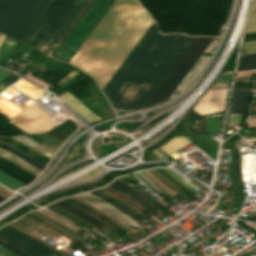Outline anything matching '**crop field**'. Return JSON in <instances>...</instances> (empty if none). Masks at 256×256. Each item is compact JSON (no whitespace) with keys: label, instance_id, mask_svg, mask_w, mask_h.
Listing matches in <instances>:
<instances>
[{"label":"crop field","instance_id":"crop-field-1","mask_svg":"<svg viewBox=\"0 0 256 256\" xmlns=\"http://www.w3.org/2000/svg\"><path fill=\"white\" fill-rule=\"evenodd\" d=\"M194 38L161 35L153 21L103 92L116 108L131 110L144 106Z\"/></svg>","mask_w":256,"mask_h":256},{"label":"crop field","instance_id":"crop-field-2","mask_svg":"<svg viewBox=\"0 0 256 256\" xmlns=\"http://www.w3.org/2000/svg\"><path fill=\"white\" fill-rule=\"evenodd\" d=\"M140 7L135 0H115L70 63L91 74Z\"/></svg>","mask_w":256,"mask_h":256},{"label":"crop field","instance_id":"crop-field-3","mask_svg":"<svg viewBox=\"0 0 256 256\" xmlns=\"http://www.w3.org/2000/svg\"><path fill=\"white\" fill-rule=\"evenodd\" d=\"M88 2L52 0L22 42L49 55Z\"/></svg>","mask_w":256,"mask_h":256},{"label":"crop field","instance_id":"crop-field-4","mask_svg":"<svg viewBox=\"0 0 256 256\" xmlns=\"http://www.w3.org/2000/svg\"><path fill=\"white\" fill-rule=\"evenodd\" d=\"M153 20L141 9L91 74L101 89Z\"/></svg>","mask_w":256,"mask_h":256},{"label":"crop field","instance_id":"crop-field-5","mask_svg":"<svg viewBox=\"0 0 256 256\" xmlns=\"http://www.w3.org/2000/svg\"><path fill=\"white\" fill-rule=\"evenodd\" d=\"M51 0H0V31L21 41Z\"/></svg>","mask_w":256,"mask_h":256},{"label":"crop field","instance_id":"crop-field-6","mask_svg":"<svg viewBox=\"0 0 256 256\" xmlns=\"http://www.w3.org/2000/svg\"><path fill=\"white\" fill-rule=\"evenodd\" d=\"M212 39L213 37H196L146 105L169 98Z\"/></svg>","mask_w":256,"mask_h":256},{"label":"crop field","instance_id":"crop-field-7","mask_svg":"<svg viewBox=\"0 0 256 256\" xmlns=\"http://www.w3.org/2000/svg\"><path fill=\"white\" fill-rule=\"evenodd\" d=\"M114 0H95L54 57L69 62Z\"/></svg>","mask_w":256,"mask_h":256},{"label":"crop field","instance_id":"crop-field-8","mask_svg":"<svg viewBox=\"0 0 256 256\" xmlns=\"http://www.w3.org/2000/svg\"><path fill=\"white\" fill-rule=\"evenodd\" d=\"M0 242L20 256H49L54 253L45 244L8 225L0 229Z\"/></svg>","mask_w":256,"mask_h":256},{"label":"crop field","instance_id":"crop-field-9","mask_svg":"<svg viewBox=\"0 0 256 256\" xmlns=\"http://www.w3.org/2000/svg\"><path fill=\"white\" fill-rule=\"evenodd\" d=\"M9 122L28 134L43 133L56 125L50 116L34 104Z\"/></svg>","mask_w":256,"mask_h":256},{"label":"crop field","instance_id":"crop-field-10","mask_svg":"<svg viewBox=\"0 0 256 256\" xmlns=\"http://www.w3.org/2000/svg\"><path fill=\"white\" fill-rule=\"evenodd\" d=\"M227 89L208 90L192 110L204 115L224 110Z\"/></svg>","mask_w":256,"mask_h":256},{"label":"crop field","instance_id":"crop-field-11","mask_svg":"<svg viewBox=\"0 0 256 256\" xmlns=\"http://www.w3.org/2000/svg\"><path fill=\"white\" fill-rule=\"evenodd\" d=\"M76 198L96 207L97 209L101 210L102 212L106 213L107 215L117 219L119 222H121L123 225L127 226L125 223L129 225H133L137 223L135 220L131 219L127 215L121 213L119 210H117L115 207L107 204L106 202L101 201L97 197L93 196L91 193L87 192L78 196H75ZM116 220V221H117ZM134 226V225H133ZM135 226H138L135 224ZM129 229H131L129 226H127ZM140 227V226H138ZM133 230V229H131Z\"/></svg>","mask_w":256,"mask_h":256},{"label":"crop field","instance_id":"crop-field-12","mask_svg":"<svg viewBox=\"0 0 256 256\" xmlns=\"http://www.w3.org/2000/svg\"><path fill=\"white\" fill-rule=\"evenodd\" d=\"M111 188H113L115 191H117L118 193L122 194L123 196L131 199L132 201H134L135 203H137L138 205L142 206L143 208H145L146 210H148L150 213L153 214V216H155L157 219H159L160 221H163L161 218H159L156 214L157 211L155 208L151 207V203L149 200H147L145 197H143L142 195H140L139 193H137L136 191H134L133 189H131L130 187H128L127 185L123 184L122 182H120L119 180H115L111 185H109ZM108 186V187H109Z\"/></svg>","mask_w":256,"mask_h":256},{"label":"crop field","instance_id":"crop-field-13","mask_svg":"<svg viewBox=\"0 0 256 256\" xmlns=\"http://www.w3.org/2000/svg\"><path fill=\"white\" fill-rule=\"evenodd\" d=\"M248 95H249V88L234 90L231 113L243 111L244 105L248 99ZM241 115H242V112L230 114L228 126L238 125Z\"/></svg>","mask_w":256,"mask_h":256},{"label":"crop field","instance_id":"crop-field-14","mask_svg":"<svg viewBox=\"0 0 256 256\" xmlns=\"http://www.w3.org/2000/svg\"><path fill=\"white\" fill-rule=\"evenodd\" d=\"M0 170L25 183L26 185L34 178H36V176L30 174L29 172L23 170L22 168L14 165L2 157H0Z\"/></svg>","mask_w":256,"mask_h":256},{"label":"crop field","instance_id":"crop-field-15","mask_svg":"<svg viewBox=\"0 0 256 256\" xmlns=\"http://www.w3.org/2000/svg\"><path fill=\"white\" fill-rule=\"evenodd\" d=\"M185 137L214 160L217 144L214 143L210 138L205 135H193Z\"/></svg>","mask_w":256,"mask_h":256},{"label":"crop field","instance_id":"crop-field-16","mask_svg":"<svg viewBox=\"0 0 256 256\" xmlns=\"http://www.w3.org/2000/svg\"><path fill=\"white\" fill-rule=\"evenodd\" d=\"M67 104L77 112L83 119L88 122H92L97 119H101L95 116L91 111H89L81 102H79L75 97L67 101Z\"/></svg>","mask_w":256,"mask_h":256},{"label":"crop field","instance_id":"crop-field-17","mask_svg":"<svg viewBox=\"0 0 256 256\" xmlns=\"http://www.w3.org/2000/svg\"><path fill=\"white\" fill-rule=\"evenodd\" d=\"M0 156L6 158L7 160L15 163L16 165L22 167L23 169L29 171L30 173H32L36 176L41 172L37 168L31 166L30 164L26 163L25 161L19 159L18 157L10 154L9 152H7L1 148H0Z\"/></svg>","mask_w":256,"mask_h":256},{"label":"crop field","instance_id":"crop-field-18","mask_svg":"<svg viewBox=\"0 0 256 256\" xmlns=\"http://www.w3.org/2000/svg\"><path fill=\"white\" fill-rule=\"evenodd\" d=\"M189 143L191 142L187 140L184 136L174 137L168 143L159 147V149H161L164 153L168 155Z\"/></svg>","mask_w":256,"mask_h":256},{"label":"crop field","instance_id":"crop-field-19","mask_svg":"<svg viewBox=\"0 0 256 256\" xmlns=\"http://www.w3.org/2000/svg\"><path fill=\"white\" fill-rule=\"evenodd\" d=\"M64 202L62 200H60V201L56 202L55 204H57V205L65 208V209L73 212L78 217H80V218H82V219H84V220H86V221H88V222H90V223H92V224H94L96 226L99 225V226L103 227L100 221H98L95 218H93L92 216H90V215H88V214H86V213H84V212H82V211H80V210H78V209H76V208L66 204L67 202L66 203H64Z\"/></svg>","mask_w":256,"mask_h":256},{"label":"crop field","instance_id":"crop-field-20","mask_svg":"<svg viewBox=\"0 0 256 256\" xmlns=\"http://www.w3.org/2000/svg\"><path fill=\"white\" fill-rule=\"evenodd\" d=\"M253 69H256V54L240 57L237 71Z\"/></svg>","mask_w":256,"mask_h":256},{"label":"crop field","instance_id":"crop-field-21","mask_svg":"<svg viewBox=\"0 0 256 256\" xmlns=\"http://www.w3.org/2000/svg\"><path fill=\"white\" fill-rule=\"evenodd\" d=\"M92 194H94L95 196L103 199L104 201L112 204L113 206H115L116 208L120 209L121 211H123L124 213H126L127 215H129L131 218L135 219V220H140L141 222L143 221L142 219H140L138 216H136L134 213H132L131 211H129L128 209H126L124 206H122L121 204L117 203L116 201L112 200L111 198L103 195L102 193L94 190L91 192Z\"/></svg>","mask_w":256,"mask_h":256},{"label":"crop field","instance_id":"crop-field-22","mask_svg":"<svg viewBox=\"0 0 256 256\" xmlns=\"http://www.w3.org/2000/svg\"><path fill=\"white\" fill-rule=\"evenodd\" d=\"M37 212H39V213H41V214H43V215H45V216H47V217L57 221V222L65 225L66 227L72 229L75 232L78 231L79 229H81L78 226H76L75 224H73L72 222H70V221H68V220H66V219H64V218H62V217H60V216H58V215L48 211V210L41 209V210H39Z\"/></svg>","mask_w":256,"mask_h":256},{"label":"crop field","instance_id":"crop-field-23","mask_svg":"<svg viewBox=\"0 0 256 256\" xmlns=\"http://www.w3.org/2000/svg\"><path fill=\"white\" fill-rule=\"evenodd\" d=\"M16 40L6 36L2 44L0 45V65L4 62L5 58L13 48Z\"/></svg>","mask_w":256,"mask_h":256},{"label":"crop field","instance_id":"crop-field-24","mask_svg":"<svg viewBox=\"0 0 256 256\" xmlns=\"http://www.w3.org/2000/svg\"><path fill=\"white\" fill-rule=\"evenodd\" d=\"M0 146H1L2 148L6 149L7 151L13 153L14 155L20 157L21 159H23V160H25V161L31 163L32 165H34V166H36V167H38V168H40V169H42V170H43L44 167H45V166L39 164L38 162L32 160L31 158L25 156L24 154L18 152L17 150L11 148L10 146H8V145H6V144H4V143H2V142H0Z\"/></svg>","mask_w":256,"mask_h":256},{"label":"crop field","instance_id":"crop-field-25","mask_svg":"<svg viewBox=\"0 0 256 256\" xmlns=\"http://www.w3.org/2000/svg\"><path fill=\"white\" fill-rule=\"evenodd\" d=\"M0 184L4 185L12 190L16 189L19 186L24 185L1 171H0Z\"/></svg>","mask_w":256,"mask_h":256},{"label":"crop field","instance_id":"crop-field-26","mask_svg":"<svg viewBox=\"0 0 256 256\" xmlns=\"http://www.w3.org/2000/svg\"><path fill=\"white\" fill-rule=\"evenodd\" d=\"M256 32V1L253 2L245 33Z\"/></svg>","mask_w":256,"mask_h":256},{"label":"crop field","instance_id":"crop-field-27","mask_svg":"<svg viewBox=\"0 0 256 256\" xmlns=\"http://www.w3.org/2000/svg\"><path fill=\"white\" fill-rule=\"evenodd\" d=\"M256 53V41L243 42L240 55Z\"/></svg>","mask_w":256,"mask_h":256},{"label":"crop field","instance_id":"crop-field-28","mask_svg":"<svg viewBox=\"0 0 256 256\" xmlns=\"http://www.w3.org/2000/svg\"><path fill=\"white\" fill-rule=\"evenodd\" d=\"M17 79H19V78L12 74L5 77L3 80L0 81V91L5 89L6 87H8L10 84L15 82Z\"/></svg>","mask_w":256,"mask_h":256},{"label":"crop field","instance_id":"crop-field-29","mask_svg":"<svg viewBox=\"0 0 256 256\" xmlns=\"http://www.w3.org/2000/svg\"><path fill=\"white\" fill-rule=\"evenodd\" d=\"M165 172H167L169 175H171L173 178L178 180L180 183H182L184 186H186L189 190H191L193 193L196 191L194 188H192L190 185H188L186 182H184L182 179H180L178 176H176L174 173H172L167 168H162Z\"/></svg>","mask_w":256,"mask_h":256},{"label":"crop field","instance_id":"crop-field-30","mask_svg":"<svg viewBox=\"0 0 256 256\" xmlns=\"http://www.w3.org/2000/svg\"><path fill=\"white\" fill-rule=\"evenodd\" d=\"M247 40H256V33L244 34L243 41H247Z\"/></svg>","mask_w":256,"mask_h":256},{"label":"crop field","instance_id":"crop-field-31","mask_svg":"<svg viewBox=\"0 0 256 256\" xmlns=\"http://www.w3.org/2000/svg\"><path fill=\"white\" fill-rule=\"evenodd\" d=\"M242 81H236L235 85H234V89H238V88H246L248 87L247 84H241Z\"/></svg>","mask_w":256,"mask_h":256},{"label":"crop field","instance_id":"crop-field-32","mask_svg":"<svg viewBox=\"0 0 256 256\" xmlns=\"http://www.w3.org/2000/svg\"><path fill=\"white\" fill-rule=\"evenodd\" d=\"M59 97L64 101V100H66V99H68V98H70V97H72V96L69 94L68 91H66V92H64L63 94H61ZM68 100H69V99H68ZM66 101H67V100H66ZM64 102H65V101H64Z\"/></svg>","mask_w":256,"mask_h":256},{"label":"crop field","instance_id":"crop-field-33","mask_svg":"<svg viewBox=\"0 0 256 256\" xmlns=\"http://www.w3.org/2000/svg\"><path fill=\"white\" fill-rule=\"evenodd\" d=\"M0 192L6 194V195H8V196L12 195V192H10V191H8V190L2 188V187H0Z\"/></svg>","mask_w":256,"mask_h":256},{"label":"crop field","instance_id":"crop-field-34","mask_svg":"<svg viewBox=\"0 0 256 256\" xmlns=\"http://www.w3.org/2000/svg\"><path fill=\"white\" fill-rule=\"evenodd\" d=\"M8 74H9V73L0 70V80H1L2 78H4L5 76H7Z\"/></svg>","mask_w":256,"mask_h":256},{"label":"crop field","instance_id":"crop-field-35","mask_svg":"<svg viewBox=\"0 0 256 256\" xmlns=\"http://www.w3.org/2000/svg\"><path fill=\"white\" fill-rule=\"evenodd\" d=\"M249 127L256 126V120L248 121Z\"/></svg>","mask_w":256,"mask_h":256},{"label":"crop field","instance_id":"crop-field-36","mask_svg":"<svg viewBox=\"0 0 256 256\" xmlns=\"http://www.w3.org/2000/svg\"><path fill=\"white\" fill-rule=\"evenodd\" d=\"M1 249V248H0ZM3 250V249H2ZM2 250H0V253H2V254H4V255H6V256H12V255H10V254H8V253H6V252H4V251H2Z\"/></svg>","mask_w":256,"mask_h":256},{"label":"crop field","instance_id":"crop-field-37","mask_svg":"<svg viewBox=\"0 0 256 256\" xmlns=\"http://www.w3.org/2000/svg\"><path fill=\"white\" fill-rule=\"evenodd\" d=\"M4 38H5V35H3V34L0 33V44H1V42L3 41Z\"/></svg>","mask_w":256,"mask_h":256},{"label":"crop field","instance_id":"crop-field-38","mask_svg":"<svg viewBox=\"0 0 256 256\" xmlns=\"http://www.w3.org/2000/svg\"><path fill=\"white\" fill-rule=\"evenodd\" d=\"M256 119V114L249 118V120Z\"/></svg>","mask_w":256,"mask_h":256},{"label":"crop field","instance_id":"crop-field-39","mask_svg":"<svg viewBox=\"0 0 256 256\" xmlns=\"http://www.w3.org/2000/svg\"><path fill=\"white\" fill-rule=\"evenodd\" d=\"M1 247V246H0ZM1 248H3V247H1ZM3 249H5V248H3ZM6 251H8V252H10V253H12V254H14V255H16L15 253H13V252H11V251H9V250H7V249H5ZM16 256H18V255H16Z\"/></svg>","mask_w":256,"mask_h":256},{"label":"crop field","instance_id":"crop-field-40","mask_svg":"<svg viewBox=\"0 0 256 256\" xmlns=\"http://www.w3.org/2000/svg\"><path fill=\"white\" fill-rule=\"evenodd\" d=\"M0 196H2V197H4V198H6V197H7V196H5V195H3V194H1V193H0Z\"/></svg>","mask_w":256,"mask_h":256},{"label":"crop field","instance_id":"crop-field-41","mask_svg":"<svg viewBox=\"0 0 256 256\" xmlns=\"http://www.w3.org/2000/svg\"><path fill=\"white\" fill-rule=\"evenodd\" d=\"M4 198L0 197V201L3 200Z\"/></svg>","mask_w":256,"mask_h":256},{"label":"crop field","instance_id":"crop-field-42","mask_svg":"<svg viewBox=\"0 0 256 256\" xmlns=\"http://www.w3.org/2000/svg\"><path fill=\"white\" fill-rule=\"evenodd\" d=\"M250 256H256L255 254H252V255H250Z\"/></svg>","mask_w":256,"mask_h":256}]
</instances>
